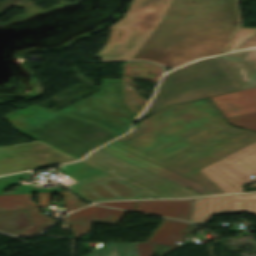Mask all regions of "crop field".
I'll return each mask as SVG.
<instances>
[{"label": "crop field", "instance_id": "crop-field-1", "mask_svg": "<svg viewBox=\"0 0 256 256\" xmlns=\"http://www.w3.org/2000/svg\"><path fill=\"white\" fill-rule=\"evenodd\" d=\"M110 28L95 57L150 60L173 69L227 51L240 29L239 0H132L126 17Z\"/></svg>", "mask_w": 256, "mask_h": 256}, {"label": "crop field", "instance_id": "crop-field-21", "mask_svg": "<svg viewBox=\"0 0 256 256\" xmlns=\"http://www.w3.org/2000/svg\"><path fill=\"white\" fill-rule=\"evenodd\" d=\"M249 47H256V34L247 39L242 45H240L237 49H245Z\"/></svg>", "mask_w": 256, "mask_h": 256}, {"label": "crop field", "instance_id": "crop-field-10", "mask_svg": "<svg viewBox=\"0 0 256 256\" xmlns=\"http://www.w3.org/2000/svg\"><path fill=\"white\" fill-rule=\"evenodd\" d=\"M51 193H59L62 195L66 201L64 207L66 210L71 211L73 209L88 205L82 203L72 197L67 192H44L38 193L40 205H35L31 200L30 193H23V194H9V195H0V211L2 210H16V209H28L34 223V226L25 230L24 232L18 235H28V234H35L42 230L43 228L50 225L53 220L50 218L39 214L37 207H48L47 204L50 200Z\"/></svg>", "mask_w": 256, "mask_h": 256}, {"label": "crop field", "instance_id": "crop-field-5", "mask_svg": "<svg viewBox=\"0 0 256 256\" xmlns=\"http://www.w3.org/2000/svg\"><path fill=\"white\" fill-rule=\"evenodd\" d=\"M123 90L121 80H102L100 91L59 111L121 134L131 129V122L142 111L125 102Z\"/></svg>", "mask_w": 256, "mask_h": 256}, {"label": "crop field", "instance_id": "crop-field-3", "mask_svg": "<svg viewBox=\"0 0 256 256\" xmlns=\"http://www.w3.org/2000/svg\"><path fill=\"white\" fill-rule=\"evenodd\" d=\"M21 132L78 159L92 148L118 136L115 133L36 105L6 116Z\"/></svg>", "mask_w": 256, "mask_h": 256}, {"label": "crop field", "instance_id": "crop-field-19", "mask_svg": "<svg viewBox=\"0 0 256 256\" xmlns=\"http://www.w3.org/2000/svg\"><path fill=\"white\" fill-rule=\"evenodd\" d=\"M123 84L125 86L124 96H125L126 102L144 108V106L147 104L148 101L144 100L126 82H124Z\"/></svg>", "mask_w": 256, "mask_h": 256}, {"label": "crop field", "instance_id": "crop-field-2", "mask_svg": "<svg viewBox=\"0 0 256 256\" xmlns=\"http://www.w3.org/2000/svg\"><path fill=\"white\" fill-rule=\"evenodd\" d=\"M178 108L177 110H174ZM256 141V132L225 123L208 98L164 107L111 143L224 193L198 169Z\"/></svg>", "mask_w": 256, "mask_h": 256}, {"label": "crop field", "instance_id": "crop-field-7", "mask_svg": "<svg viewBox=\"0 0 256 256\" xmlns=\"http://www.w3.org/2000/svg\"><path fill=\"white\" fill-rule=\"evenodd\" d=\"M82 161L144 189L157 198L184 197L174 190V188L180 186L100 149L94 151ZM109 169L114 171L112 172Z\"/></svg>", "mask_w": 256, "mask_h": 256}, {"label": "crop field", "instance_id": "crop-field-16", "mask_svg": "<svg viewBox=\"0 0 256 256\" xmlns=\"http://www.w3.org/2000/svg\"><path fill=\"white\" fill-rule=\"evenodd\" d=\"M27 210L1 212L0 213V230L16 234L31 226Z\"/></svg>", "mask_w": 256, "mask_h": 256}, {"label": "crop field", "instance_id": "crop-field-11", "mask_svg": "<svg viewBox=\"0 0 256 256\" xmlns=\"http://www.w3.org/2000/svg\"><path fill=\"white\" fill-rule=\"evenodd\" d=\"M227 213L256 215V193L197 198L190 220L206 222L211 214Z\"/></svg>", "mask_w": 256, "mask_h": 256}, {"label": "crop field", "instance_id": "crop-field-14", "mask_svg": "<svg viewBox=\"0 0 256 256\" xmlns=\"http://www.w3.org/2000/svg\"><path fill=\"white\" fill-rule=\"evenodd\" d=\"M100 149L109 152L115 156L125 159L131 163H134L140 167H143L149 171H152L162 177H165L185 188H191L201 194H205L204 187L194 181H191L181 175H178L170 170H167L159 165H156L150 161H147L139 156H136L126 150H123L111 143L101 147Z\"/></svg>", "mask_w": 256, "mask_h": 256}, {"label": "crop field", "instance_id": "crop-field-22", "mask_svg": "<svg viewBox=\"0 0 256 256\" xmlns=\"http://www.w3.org/2000/svg\"><path fill=\"white\" fill-rule=\"evenodd\" d=\"M178 247H180V246L175 245V246H173V247H171V248H169V249L163 251L162 254L159 255V256H162V255H164V254H166V253H168V252H170V251H172V250H174V249H176V248H178Z\"/></svg>", "mask_w": 256, "mask_h": 256}, {"label": "crop field", "instance_id": "crop-field-9", "mask_svg": "<svg viewBox=\"0 0 256 256\" xmlns=\"http://www.w3.org/2000/svg\"><path fill=\"white\" fill-rule=\"evenodd\" d=\"M72 160L42 143L0 147V175Z\"/></svg>", "mask_w": 256, "mask_h": 256}, {"label": "crop field", "instance_id": "crop-field-8", "mask_svg": "<svg viewBox=\"0 0 256 256\" xmlns=\"http://www.w3.org/2000/svg\"><path fill=\"white\" fill-rule=\"evenodd\" d=\"M225 193L243 191L245 185L252 180L248 176H256V142L200 169ZM252 186H256V183Z\"/></svg>", "mask_w": 256, "mask_h": 256}, {"label": "crop field", "instance_id": "crop-field-6", "mask_svg": "<svg viewBox=\"0 0 256 256\" xmlns=\"http://www.w3.org/2000/svg\"><path fill=\"white\" fill-rule=\"evenodd\" d=\"M244 90L210 97L223 115L256 109V49L219 56Z\"/></svg>", "mask_w": 256, "mask_h": 256}, {"label": "crop field", "instance_id": "crop-field-12", "mask_svg": "<svg viewBox=\"0 0 256 256\" xmlns=\"http://www.w3.org/2000/svg\"><path fill=\"white\" fill-rule=\"evenodd\" d=\"M97 204L115 206L186 220L192 204V199L114 201Z\"/></svg>", "mask_w": 256, "mask_h": 256}, {"label": "crop field", "instance_id": "crop-field-15", "mask_svg": "<svg viewBox=\"0 0 256 256\" xmlns=\"http://www.w3.org/2000/svg\"><path fill=\"white\" fill-rule=\"evenodd\" d=\"M188 222L164 218L146 243H137L139 256H152L158 244L171 246L176 239L188 233L184 231Z\"/></svg>", "mask_w": 256, "mask_h": 256}, {"label": "crop field", "instance_id": "crop-field-17", "mask_svg": "<svg viewBox=\"0 0 256 256\" xmlns=\"http://www.w3.org/2000/svg\"><path fill=\"white\" fill-rule=\"evenodd\" d=\"M86 256H137L135 243H109Z\"/></svg>", "mask_w": 256, "mask_h": 256}, {"label": "crop field", "instance_id": "crop-field-4", "mask_svg": "<svg viewBox=\"0 0 256 256\" xmlns=\"http://www.w3.org/2000/svg\"><path fill=\"white\" fill-rule=\"evenodd\" d=\"M238 90L242 87L219 57L199 60L163 77L149 106L136 121L163 105Z\"/></svg>", "mask_w": 256, "mask_h": 256}, {"label": "crop field", "instance_id": "crop-field-23", "mask_svg": "<svg viewBox=\"0 0 256 256\" xmlns=\"http://www.w3.org/2000/svg\"><path fill=\"white\" fill-rule=\"evenodd\" d=\"M194 199H195V198H194ZM194 199H193V202H194ZM192 206H193V204H192ZM191 209H192V207H191ZM190 212H191V210H190ZM189 216H190V213H189ZM189 216H188V219H189ZM188 219H187V220H188Z\"/></svg>", "mask_w": 256, "mask_h": 256}, {"label": "crop field", "instance_id": "crop-field-20", "mask_svg": "<svg viewBox=\"0 0 256 256\" xmlns=\"http://www.w3.org/2000/svg\"><path fill=\"white\" fill-rule=\"evenodd\" d=\"M256 29H248V28H241L237 35L233 38L232 43L227 52L232 51V49L242 42L248 35L254 33Z\"/></svg>", "mask_w": 256, "mask_h": 256}, {"label": "crop field", "instance_id": "crop-field-13", "mask_svg": "<svg viewBox=\"0 0 256 256\" xmlns=\"http://www.w3.org/2000/svg\"><path fill=\"white\" fill-rule=\"evenodd\" d=\"M124 213V210L88 206L70 213L64 219L69 223L74 232L73 238L76 239L90 231L91 222L117 225Z\"/></svg>", "mask_w": 256, "mask_h": 256}, {"label": "crop field", "instance_id": "crop-field-18", "mask_svg": "<svg viewBox=\"0 0 256 256\" xmlns=\"http://www.w3.org/2000/svg\"><path fill=\"white\" fill-rule=\"evenodd\" d=\"M233 126L256 131V110L225 116Z\"/></svg>", "mask_w": 256, "mask_h": 256}]
</instances>
